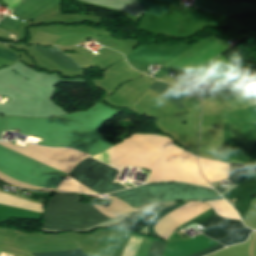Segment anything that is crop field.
Listing matches in <instances>:
<instances>
[{
	"label": "crop field",
	"instance_id": "obj_1",
	"mask_svg": "<svg viewBox=\"0 0 256 256\" xmlns=\"http://www.w3.org/2000/svg\"><path fill=\"white\" fill-rule=\"evenodd\" d=\"M112 149L118 169L128 165L152 169L148 182L183 181L210 187L198 171L196 157L162 137L135 135Z\"/></svg>",
	"mask_w": 256,
	"mask_h": 256
},
{
	"label": "crop field",
	"instance_id": "obj_2",
	"mask_svg": "<svg viewBox=\"0 0 256 256\" xmlns=\"http://www.w3.org/2000/svg\"><path fill=\"white\" fill-rule=\"evenodd\" d=\"M109 195L135 209L149 203L174 200L206 201L222 199L211 189L184 183L147 184L137 188L110 193Z\"/></svg>",
	"mask_w": 256,
	"mask_h": 256
},
{
	"label": "crop field",
	"instance_id": "obj_3",
	"mask_svg": "<svg viewBox=\"0 0 256 256\" xmlns=\"http://www.w3.org/2000/svg\"><path fill=\"white\" fill-rule=\"evenodd\" d=\"M79 201L78 194L55 193L46 205L41 228L80 229L101 221L93 204H81Z\"/></svg>",
	"mask_w": 256,
	"mask_h": 256
},
{
	"label": "crop field",
	"instance_id": "obj_4",
	"mask_svg": "<svg viewBox=\"0 0 256 256\" xmlns=\"http://www.w3.org/2000/svg\"><path fill=\"white\" fill-rule=\"evenodd\" d=\"M185 203L186 202L179 203L174 206L162 209V211L157 216H155L154 219L151 221L149 225V232L153 235L160 237L156 232L153 231L154 224L158 222L161 218H163L165 215H167L169 212L175 210L176 208L182 206ZM214 215L216 214L211 208L206 212L202 213L201 215L197 216L196 218L184 223L179 228H183L190 224H200ZM201 225L206 227V231H204L203 233L204 235L213 238L225 244L226 246L234 243L244 242L251 232V230L246 229L242 225L241 221L227 220L217 215L205 221Z\"/></svg>",
	"mask_w": 256,
	"mask_h": 256
},
{
	"label": "crop field",
	"instance_id": "obj_5",
	"mask_svg": "<svg viewBox=\"0 0 256 256\" xmlns=\"http://www.w3.org/2000/svg\"><path fill=\"white\" fill-rule=\"evenodd\" d=\"M119 174L120 171L88 157L69 175L102 193H109L130 187L117 181Z\"/></svg>",
	"mask_w": 256,
	"mask_h": 256
},
{
	"label": "crop field",
	"instance_id": "obj_6",
	"mask_svg": "<svg viewBox=\"0 0 256 256\" xmlns=\"http://www.w3.org/2000/svg\"><path fill=\"white\" fill-rule=\"evenodd\" d=\"M249 188H256V177L249 178L247 181L243 182L240 186L222 194L226 199L235 198ZM256 197V189H250L235 199V209L240 214L242 220L246 216L251 200Z\"/></svg>",
	"mask_w": 256,
	"mask_h": 256
},
{
	"label": "crop field",
	"instance_id": "obj_7",
	"mask_svg": "<svg viewBox=\"0 0 256 256\" xmlns=\"http://www.w3.org/2000/svg\"><path fill=\"white\" fill-rule=\"evenodd\" d=\"M221 161L229 163L240 162L253 165L251 155L248 150L242 144L231 141L227 130V123L223 124Z\"/></svg>",
	"mask_w": 256,
	"mask_h": 256
},
{
	"label": "crop field",
	"instance_id": "obj_8",
	"mask_svg": "<svg viewBox=\"0 0 256 256\" xmlns=\"http://www.w3.org/2000/svg\"><path fill=\"white\" fill-rule=\"evenodd\" d=\"M195 6L198 8L213 11L219 14H236L241 12H256V4L241 3L237 5L219 4L208 0H196Z\"/></svg>",
	"mask_w": 256,
	"mask_h": 256
},
{
	"label": "crop field",
	"instance_id": "obj_9",
	"mask_svg": "<svg viewBox=\"0 0 256 256\" xmlns=\"http://www.w3.org/2000/svg\"><path fill=\"white\" fill-rule=\"evenodd\" d=\"M201 171L208 182L227 179L229 164L213 162L199 158Z\"/></svg>",
	"mask_w": 256,
	"mask_h": 256
},
{
	"label": "crop field",
	"instance_id": "obj_10",
	"mask_svg": "<svg viewBox=\"0 0 256 256\" xmlns=\"http://www.w3.org/2000/svg\"><path fill=\"white\" fill-rule=\"evenodd\" d=\"M39 53L43 56L53 60L58 65L63 68L75 71L81 69L76 63L70 60L67 56H65L62 52H60L56 47H50L47 49H41L37 46H33Z\"/></svg>",
	"mask_w": 256,
	"mask_h": 256
},
{
	"label": "crop field",
	"instance_id": "obj_11",
	"mask_svg": "<svg viewBox=\"0 0 256 256\" xmlns=\"http://www.w3.org/2000/svg\"><path fill=\"white\" fill-rule=\"evenodd\" d=\"M149 88L167 98L174 105H176L179 108V110L184 109L183 105L180 102L184 95H182L176 89L160 82H155Z\"/></svg>",
	"mask_w": 256,
	"mask_h": 256
},
{
	"label": "crop field",
	"instance_id": "obj_12",
	"mask_svg": "<svg viewBox=\"0 0 256 256\" xmlns=\"http://www.w3.org/2000/svg\"><path fill=\"white\" fill-rule=\"evenodd\" d=\"M139 1L144 6L146 13L151 14V15L160 17L161 15H163L165 12H167L169 10V8L157 6L155 4L147 2L145 0H139Z\"/></svg>",
	"mask_w": 256,
	"mask_h": 256
},
{
	"label": "crop field",
	"instance_id": "obj_13",
	"mask_svg": "<svg viewBox=\"0 0 256 256\" xmlns=\"http://www.w3.org/2000/svg\"><path fill=\"white\" fill-rule=\"evenodd\" d=\"M34 256H85L80 249L34 254Z\"/></svg>",
	"mask_w": 256,
	"mask_h": 256
},
{
	"label": "crop field",
	"instance_id": "obj_14",
	"mask_svg": "<svg viewBox=\"0 0 256 256\" xmlns=\"http://www.w3.org/2000/svg\"><path fill=\"white\" fill-rule=\"evenodd\" d=\"M92 157L115 167L111 148L105 150L104 152L100 153L99 155L92 156Z\"/></svg>",
	"mask_w": 256,
	"mask_h": 256
},
{
	"label": "crop field",
	"instance_id": "obj_15",
	"mask_svg": "<svg viewBox=\"0 0 256 256\" xmlns=\"http://www.w3.org/2000/svg\"><path fill=\"white\" fill-rule=\"evenodd\" d=\"M164 243L153 241L148 256H162L163 250H164Z\"/></svg>",
	"mask_w": 256,
	"mask_h": 256
},
{
	"label": "crop field",
	"instance_id": "obj_16",
	"mask_svg": "<svg viewBox=\"0 0 256 256\" xmlns=\"http://www.w3.org/2000/svg\"><path fill=\"white\" fill-rule=\"evenodd\" d=\"M0 57L11 60L13 62H15L18 59L16 54L10 51L1 50V49H0Z\"/></svg>",
	"mask_w": 256,
	"mask_h": 256
},
{
	"label": "crop field",
	"instance_id": "obj_17",
	"mask_svg": "<svg viewBox=\"0 0 256 256\" xmlns=\"http://www.w3.org/2000/svg\"><path fill=\"white\" fill-rule=\"evenodd\" d=\"M222 247H224V246L218 244V245H216V246H213V247H211V248H208V249H206V250H203V251H201V252H199V253H196V254H194V255H191V256H204V255H207V254H209V253H211V252H214V251H216V250H218V249H220V248H222Z\"/></svg>",
	"mask_w": 256,
	"mask_h": 256
},
{
	"label": "crop field",
	"instance_id": "obj_18",
	"mask_svg": "<svg viewBox=\"0 0 256 256\" xmlns=\"http://www.w3.org/2000/svg\"><path fill=\"white\" fill-rule=\"evenodd\" d=\"M235 1H251V2H256V0H235Z\"/></svg>",
	"mask_w": 256,
	"mask_h": 256
},
{
	"label": "crop field",
	"instance_id": "obj_19",
	"mask_svg": "<svg viewBox=\"0 0 256 256\" xmlns=\"http://www.w3.org/2000/svg\"><path fill=\"white\" fill-rule=\"evenodd\" d=\"M163 1H166V2H169V3H172V4H173V1H174V0H163Z\"/></svg>",
	"mask_w": 256,
	"mask_h": 256
}]
</instances>
